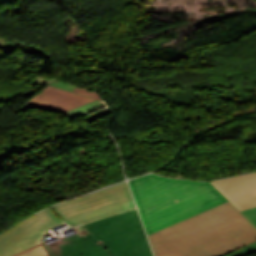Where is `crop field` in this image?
Returning <instances> with one entry per match:
<instances>
[{
  "instance_id": "1",
  "label": "crop field",
  "mask_w": 256,
  "mask_h": 256,
  "mask_svg": "<svg viewBox=\"0 0 256 256\" xmlns=\"http://www.w3.org/2000/svg\"><path fill=\"white\" fill-rule=\"evenodd\" d=\"M156 256H219L256 240V227L229 201L149 234Z\"/></svg>"
},
{
  "instance_id": "2",
  "label": "crop field",
  "mask_w": 256,
  "mask_h": 256,
  "mask_svg": "<svg viewBox=\"0 0 256 256\" xmlns=\"http://www.w3.org/2000/svg\"><path fill=\"white\" fill-rule=\"evenodd\" d=\"M129 184L147 234L227 201L209 182L148 174Z\"/></svg>"
},
{
  "instance_id": "3",
  "label": "crop field",
  "mask_w": 256,
  "mask_h": 256,
  "mask_svg": "<svg viewBox=\"0 0 256 256\" xmlns=\"http://www.w3.org/2000/svg\"><path fill=\"white\" fill-rule=\"evenodd\" d=\"M75 229L81 235L43 243L51 256H153L136 209Z\"/></svg>"
},
{
  "instance_id": "4",
  "label": "crop field",
  "mask_w": 256,
  "mask_h": 256,
  "mask_svg": "<svg viewBox=\"0 0 256 256\" xmlns=\"http://www.w3.org/2000/svg\"><path fill=\"white\" fill-rule=\"evenodd\" d=\"M127 182L52 207L69 225H76L123 211L121 203L132 201Z\"/></svg>"
},
{
  "instance_id": "5",
  "label": "crop field",
  "mask_w": 256,
  "mask_h": 256,
  "mask_svg": "<svg viewBox=\"0 0 256 256\" xmlns=\"http://www.w3.org/2000/svg\"><path fill=\"white\" fill-rule=\"evenodd\" d=\"M63 223L50 208L0 236V256H7L45 239L46 230Z\"/></svg>"
},
{
  "instance_id": "6",
  "label": "crop field",
  "mask_w": 256,
  "mask_h": 256,
  "mask_svg": "<svg viewBox=\"0 0 256 256\" xmlns=\"http://www.w3.org/2000/svg\"><path fill=\"white\" fill-rule=\"evenodd\" d=\"M210 183L240 211L256 207V172Z\"/></svg>"
},
{
  "instance_id": "7",
  "label": "crop field",
  "mask_w": 256,
  "mask_h": 256,
  "mask_svg": "<svg viewBox=\"0 0 256 256\" xmlns=\"http://www.w3.org/2000/svg\"><path fill=\"white\" fill-rule=\"evenodd\" d=\"M93 100L95 99L48 86L22 106L20 110L24 112L28 108L35 107L63 113Z\"/></svg>"
},
{
  "instance_id": "8",
  "label": "crop field",
  "mask_w": 256,
  "mask_h": 256,
  "mask_svg": "<svg viewBox=\"0 0 256 256\" xmlns=\"http://www.w3.org/2000/svg\"><path fill=\"white\" fill-rule=\"evenodd\" d=\"M9 256H49V254L41 242Z\"/></svg>"
},
{
  "instance_id": "9",
  "label": "crop field",
  "mask_w": 256,
  "mask_h": 256,
  "mask_svg": "<svg viewBox=\"0 0 256 256\" xmlns=\"http://www.w3.org/2000/svg\"><path fill=\"white\" fill-rule=\"evenodd\" d=\"M106 106L105 103L101 102V101H98V100H95L91 103H88L86 105H83L79 108H76L74 110H71L69 112H67L66 114L70 117V118H73V117H76V116H79L81 114H84V113H87V112H90V111H93L95 109H98V108H101V107H104Z\"/></svg>"
},
{
  "instance_id": "10",
  "label": "crop field",
  "mask_w": 256,
  "mask_h": 256,
  "mask_svg": "<svg viewBox=\"0 0 256 256\" xmlns=\"http://www.w3.org/2000/svg\"><path fill=\"white\" fill-rule=\"evenodd\" d=\"M256 251V242L249 245V246H246V247H243V248H240L236 251H233L227 255H224V256H242V255H245V254H249V253H252V252H255Z\"/></svg>"
},
{
  "instance_id": "11",
  "label": "crop field",
  "mask_w": 256,
  "mask_h": 256,
  "mask_svg": "<svg viewBox=\"0 0 256 256\" xmlns=\"http://www.w3.org/2000/svg\"><path fill=\"white\" fill-rule=\"evenodd\" d=\"M17 47V45L6 42L4 40H0V50L7 54L11 55Z\"/></svg>"
},
{
  "instance_id": "12",
  "label": "crop field",
  "mask_w": 256,
  "mask_h": 256,
  "mask_svg": "<svg viewBox=\"0 0 256 256\" xmlns=\"http://www.w3.org/2000/svg\"><path fill=\"white\" fill-rule=\"evenodd\" d=\"M74 92H77V93H80V94H83V95H86V96H89V97H92V98L102 100L98 94H96L95 92H93L91 90H88V89L76 87Z\"/></svg>"
},
{
  "instance_id": "13",
  "label": "crop field",
  "mask_w": 256,
  "mask_h": 256,
  "mask_svg": "<svg viewBox=\"0 0 256 256\" xmlns=\"http://www.w3.org/2000/svg\"><path fill=\"white\" fill-rule=\"evenodd\" d=\"M109 112H111V111H109L107 109H102L100 111H97V112H95L93 114H90L88 116H85V117L88 119L89 122H91V121H93V120H95V119H97V118H99V117H101V116H103V115H105Z\"/></svg>"
},
{
  "instance_id": "14",
  "label": "crop field",
  "mask_w": 256,
  "mask_h": 256,
  "mask_svg": "<svg viewBox=\"0 0 256 256\" xmlns=\"http://www.w3.org/2000/svg\"><path fill=\"white\" fill-rule=\"evenodd\" d=\"M242 213L256 226V208L242 211Z\"/></svg>"
},
{
  "instance_id": "15",
  "label": "crop field",
  "mask_w": 256,
  "mask_h": 256,
  "mask_svg": "<svg viewBox=\"0 0 256 256\" xmlns=\"http://www.w3.org/2000/svg\"><path fill=\"white\" fill-rule=\"evenodd\" d=\"M49 84L54 85V86H58V87H61V88H64V89H68V90H71V91H73L74 88H75V86H72V85H69V84H66V83H63V82H60V81L51 82Z\"/></svg>"
},
{
  "instance_id": "16",
  "label": "crop field",
  "mask_w": 256,
  "mask_h": 256,
  "mask_svg": "<svg viewBox=\"0 0 256 256\" xmlns=\"http://www.w3.org/2000/svg\"><path fill=\"white\" fill-rule=\"evenodd\" d=\"M4 1H8V2H10V3L15 4L17 0H4ZM18 1H19V0H18ZM18 1H17V2H18Z\"/></svg>"
},
{
  "instance_id": "17",
  "label": "crop field",
  "mask_w": 256,
  "mask_h": 256,
  "mask_svg": "<svg viewBox=\"0 0 256 256\" xmlns=\"http://www.w3.org/2000/svg\"><path fill=\"white\" fill-rule=\"evenodd\" d=\"M4 3L3 1H0V4Z\"/></svg>"
}]
</instances>
